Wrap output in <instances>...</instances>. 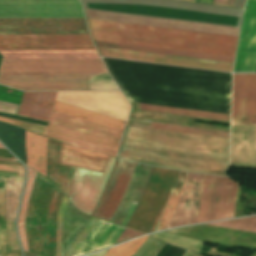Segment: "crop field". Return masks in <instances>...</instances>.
Returning a JSON list of instances; mask_svg holds the SVG:
<instances>
[{"mask_svg":"<svg viewBox=\"0 0 256 256\" xmlns=\"http://www.w3.org/2000/svg\"><path fill=\"white\" fill-rule=\"evenodd\" d=\"M188 174L187 172H179L155 231L167 228ZM202 178L203 175L201 174H189L168 228L196 223Z\"/></svg>","mask_w":256,"mask_h":256,"instance_id":"obj_8","label":"crop field"},{"mask_svg":"<svg viewBox=\"0 0 256 256\" xmlns=\"http://www.w3.org/2000/svg\"><path fill=\"white\" fill-rule=\"evenodd\" d=\"M118 80L230 94L231 74L102 58ZM115 80L129 102L230 114V95Z\"/></svg>","mask_w":256,"mask_h":256,"instance_id":"obj_1","label":"crop field"},{"mask_svg":"<svg viewBox=\"0 0 256 256\" xmlns=\"http://www.w3.org/2000/svg\"><path fill=\"white\" fill-rule=\"evenodd\" d=\"M94 42L96 46H101V47H109V48L125 49V50H133V51H141V52H149V53H157V54H165V55L229 62V63H233V60H234V58H230V57L172 51V50H164V49H156V48H147V47H139V46H131V45H123V44H114V43H106V42H98V41H94ZM97 49L100 55L107 56V57L123 58V59H131V60H139V61H147V62H155V63H163V64L227 71V72H231L232 65H233L228 63H220V62L204 61V60H196V59H188V58H180V57L100 48V47H97Z\"/></svg>","mask_w":256,"mask_h":256,"instance_id":"obj_6","label":"crop field"},{"mask_svg":"<svg viewBox=\"0 0 256 256\" xmlns=\"http://www.w3.org/2000/svg\"><path fill=\"white\" fill-rule=\"evenodd\" d=\"M131 230V229H130ZM130 230H127L125 229V231L122 233V235L118 238V240L114 243V245L116 244H119V243H122L124 241H127L129 239H132L134 237H137V236H140V235H143V234H140V233H137V232H133V231H130Z\"/></svg>","mask_w":256,"mask_h":256,"instance_id":"obj_41","label":"crop field"},{"mask_svg":"<svg viewBox=\"0 0 256 256\" xmlns=\"http://www.w3.org/2000/svg\"><path fill=\"white\" fill-rule=\"evenodd\" d=\"M53 111L88 120L94 123L124 130L125 121L90 112L84 109L54 102ZM51 113L46 137L92 151L117 156L122 131L87 122L81 119Z\"/></svg>","mask_w":256,"mask_h":256,"instance_id":"obj_4","label":"crop field"},{"mask_svg":"<svg viewBox=\"0 0 256 256\" xmlns=\"http://www.w3.org/2000/svg\"><path fill=\"white\" fill-rule=\"evenodd\" d=\"M229 139L130 127L122 158L177 170L226 175Z\"/></svg>","mask_w":256,"mask_h":256,"instance_id":"obj_2","label":"crop field"},{"mask_svg":"<svg viewBox=\"0 0 256 256\" xmlns=\"http://www.w3.org/2000/svg\"><path fill=\"white\" fill-rule=\"evenodd\" d=\"M178 172L153 168L144 193L127 227L145 233L155 230Z\"/></svg>","mask_w":256,"mask_h":256,"instance_id":"obj_7","label":"crop field"},{"mask_svg":"<svg viewBox=\"0 0 256 256\" xmlns=\"http://www.w3.org/2000/svg\"><path fill=\"white\" fill-rule=\"evenodd\" d=\"M0 170L19 172L18 176H24V170H23V167L21 166H11V165L0 164Z\"/></svg>","mask_w":256,"mask_h":256,"instance_id":"obj_42","label":"crop field"},{"mask_svg":"<svg viewBox=\"0 0 256 256\" xmlns=\"http://www.w3.org/2000/svg\"><path fill=\"white\" fill-rule=\"evenodd\" d=\"M232 124L256 125V75H233Z\"/></svg>","mask_w":256,"mask_h":256,"instance_id":"obj_16","label":"crop field"},{"mask_svg":"<svg viewBox=\"0 0 256 256\" xmlns=\"http://www.w3.org/2000/svg\"><path fill=\"white\" fill-rule=\"evenodd\" d=\"M106 251L107 250L99 252V253H96V254H93V255H90V256H103L106 253Z\"/></svg>","mask_w":256,"mask_h":256,"instance_id":"obj_46","label":"crop field"},{"mask_svg":"<svg viewBox=\"0 0 256 256\" xmlns=\"http://www.w3.org/2000/svg\"><path fill=\"white\" fill-rule=\"evenodd\" d=\"M27 169H28V180L26 183L23 201H22L21 210H20L19 219H18V231H19V235L21 237L23 249L29 251L28 246H27V240H26L24 219H25L28 200H29V197H30V194L32 191L36 171H34L28 167H27Z\"/></svg>","mask_w":256,"mask_h":256,"instance_id":"obj_31","label":"crop field"},{"mask_svg":"<svg viewBox=\"0 0 256 256\" xmlns=\"http://www.w3.org/2000/svg\"><path fill=\"white\" fill-rule=\"evenodd\" d=\"M55 93L36 92L28 117L48 121Z\"/></svg>","mask_w":256,"mask_h":256,"instance_id":"obj_28","label":"crop field"},{"mask_svg":"<svg viewBox=\"0 0 256 256\" xmlns=\"http://www.w3.org/2000/svg\"><path fill=\"white\" fill-rule=\"evenodd\" d=\"M109 222L100 220L96 225L94 230L86 238L80 248L76 251L73 256L84 255L85 252L90 248L94 241L99 237L103 230L108 226ZM124 227L110 223L109 226L104 230L100 237L95 241L91 248L86 252V254L110 247L120 236Z\"/></svg>","mask_w":256,"mask_h":256,"instance_id":"obj_24","label":"crop field"},{"mask_svg":"<svg viewBox=\"0 0 256 256\" xmlns=\"http://www.w3.org/2000/svg\"><path fill=\"white\" fill-rule=\"evenodd\" d=\"M151 236L188 247L198 253L201 252V249L204 243L202 241H198V240H194V239H190V238H186V237H182V236H178V235H174L166 232L154 234Z\"/></svg>","mask_w":256,"mask_h":256,"instance_id":"obj_32","label":"crop field"},{"mask_svg":"<svg viewBox=\"0 0 256 256\" xmlns=\"http://www.w3.org/2000/svg\"><path fill=\"white\" fill-rule=\"evenodd\" d=\"M207 225L256 232V216L237 219V220H231V221H225V222H219V223H213V224H207Z\"/></svg>","mask_w":256,"mask_h":256,"instance_id":"obj_33","label":"crop field"},{"mask_svg":"<svg viewBox=\"0 0 256 256\" xmlns=\"http://www.w3.org/2000/svg\"><path fill=\"white\" fill-rule=\"evenodd\" d=\"M24 178L9 177L5 193L6 220L13 221L23 186Z\"/></svg>","mask_w":256,"mask_h":256,"instance_id":"obj_27","label":"crop field"},{"mask_svg":"<svg viewBox=\"0 0 256 256\" xmlns=\"http://www.w3.org/2000/svg\"><path fill=\"white\" fill-rule=\"evenodd\" d=\"M25 256H36L35 254L24 252Z\"/></svg>","mask_w":256,"mask_h":256,"instance_id":"obj_48","label":"crop field"},{"mask_svg":"<svg viewBox=\"0 0 256 256\" xmlns=\"http://www.w3.org/2000/svg\"><path fill=\"white\" fill-rule=\"evenodd\" d=\"M0 73H107L101 60L3 61Z\"/></svg>","mask_w":256,"mask_h":256,"instance_id":"obj_13","label":"crop field"},{"mask_svg":"<svg viewBox=\"0 0 256 256\" xmlns=\"http://www.w3.org/2000/svg\"><path fill=\"white\" fill-rule=\"evenodd\" d=\"M0 157L14 158L7 150L0 149Z\"/></svg>","mask_w":256,"mask_h":256,"instance_id":"obj_44","label":"crop field"},{"mask_svg":"<svg viewBox=\"0 0 256 256\" xmlns=\"http://www.w3.org/2000/svg\"><path fill=\"white\" fill-rule=\"evenodd\" d=\"M0 148H3V149H5L1 144H0Z\"/></svg>","mask_w":256,"mask_h":256,"instance_id":"obj_49","label":"crop field"},{"mask_svg":"<svg viewBox=\"0 0 256 256\" xmlns=\"http://www.w3.org/2000/svg\"><path fill=\"white\" fill-rule=\"evenodd\" d=\"M61 143L49 139L47 154V179L67 197L74 167L58 165Z\"/></svg>","mask_w":256,"mask_h":256,"instance_id":"obj_23","label":"crop field"},{"mask_svg":"<svg viewBox=\"0 0 256 256\" xmlns=\"http://www.w3.org/2000/svg\"><path fill=\"white\" fill-rule=\"evenodd\" d=\"M135 164V162L118 159L94 217L110 221L126 189Z\"/></svg>","mask_w":256,"mask_h":256,"instance_id":"obj_17","label":"crop field"},{"mask_svg":"<svg viewBox=\"0 0 256 256\" xmlns=\"http://www.w3.org/2000/svg\"><path fill=\"white\" fill-rule=\"evenodd\" d=\"M62 196L63 194L57 188H55V191L52 197L49 218H48V225H47L48 256H54L55 254L57 213L60 208Z\"/></svg>","mask_w":256,"mask_h":256,"instance_id":"obj_29","label":"crop field"},{"mask_svg":"<svg viewBox=\"0 0 256 256\" xmlns=\"http://www.w3.org/2000/svg\"><path fill=\"white\" fill-rule=\"evenodd\" d=\"M187 1H192V0H187Z\"/></svg>","mask_w":256,"mask_h":256,"instance_id":"obj_50","label":"crop field"},{"mask_svg":"<svg viewBox=\"0 0 256 256\" xmlns=\"http://www.w3.org/2000/svg\"><path fill=\"white\" fill-rule=\"evenodd\" d=\"M137 110L208 118V119H217V120H225V121H229V117H230V115H226V114L209 113V112L167 108V107L142 105V104L138 105ZM127 125L229 138V133L220 132V131H212V130H204V129H196V128L132 121V120H129Z\"/></svg>","mask_w":256,"mask_h":256,"instance_id":"obj_19","label":"crop field"},{"mask_svg":"<svg viewBox=\"0 0 256 256\" xmlns=\"http://www.w3.org/2000/svg\"><path fill=\"white\" fill-rule=\"evenodd\" d=\"M0 84L21 91L119 90L108 74H0Z\"/></svg>","mask_w":256,"mask_h":256,"instance_id":"obj_5","label":"crop field"},{"mask_svg":"<svg viewBox=\"0 0 256 256\" xmlns=\"http://www.w3.org/2000/svg\"><path fill=\"white\" fill-rule=\"evenodd\" d=\"M3 60L100 59L96 50H0Z\"/></svg>","mask_w":256,"mask_h":256,"instance_id":"obj_21","label":"crop field"},{"mask_svg":"<svg viewBox=\"0 0 256 256\" xmlns=\"http://www.w3.org/2000/svg\"><path fill=\"white\" fill-rule=\"evenodd\" d=\"M18 106L17 104L0 101V112L16 115Z\"/></svg>","mask_w":256,"mask_h":256,"instance_id":"obj_40","label":"crop field"},{"mask_svg":"<svg viewBox=\"0 0 256 256\" xmlns=\"http://www.w3.org/2000/svg\"><path fill=\"white\" fill-rule=\"evenodd\" d=\"M98 221L99 219L91 217L87 227L84 229V231L81 233V235L77 238V240L73 243V245L70 247V249L67 251V253L64 256H72L75 253V251L82 244L85 238L89 235V233L98 223Z\"/></svg>","mask_w":256,"mask_h":256,"instance_id":"obj_36","label":"crop field"},{"mask_svg":"<svg viewBox=\"0 0 256 256\" xmlns=\"http://www.w3.org/2000/svg\"><path fill=\"white\" fill-rule=\"evenodd\" d=\"M110 156L62 143L59 164L102 172Z\"/></svg>","mask_w":256,"mask_h":256,"instance_id":"obj_22","label":"crop field"},{"mask_svg":"<svg viewBox=\"0 0 256 256\" xmlns=\"http://www.w3.org/2000/svg\"><path fill=\"white\" fill-rule=\"evenodd\" d=\"M234 0H213L212 4L232 6Z\"/></svg>","mask_w":256,"mask_h":256,"instance_id":"obj_43","label":"crop field"},{"mask_svg":"<svg viewBox=\"0 0 256 256\" xmlns=\"http://www.w3.org/2000/svg\"><path fill=\"white\" fill-rule=\"evenodd\" d=\"M93 40L234 57L238 37L87 19Z\"/></svg>","mask_w":256,"mask_h":256,"instance_id":"obj_3","label":"crop field"},{"mask_svg":"<svg viewBox=\"0 0 256 256\" xmlns=\"http://www.w3.org/2000/svg\"><path fill=\"white\" fill-rule=\"evenodd\" d=\"M0 161H13V162H18L15 159H8V158H0Z\"/></svg>","mask_w":256,"mask_h":256,"instance_id":"obj_47","label":"crop field"},{"mask_svg":"<svg viewBox=\"0 0 256 256\" xmlns=\"http://www.w3.org/2000/svg\"><path fill=\"white\" fill-rule=\"evenodd\" d=\"M48 139L26 131L27 165L45 175Z\"/></svg>","mask_w":256,"mask_h":256,"instance_id":"obj_25","label":"crop field"},{"mask_svg":"<svg viewBox=\"0 0 256 256\" xmlns=\"http://www.w3.org/2000/svg\"><path fill=\"white\" fill-rule=\"evenodd\" d=\"M55 186L37 173L25 220L30 252L47 256L46 224Z\"/></svg>","mask_w":256,"mask_h":256,"instance_id":"obj_9","label":"crop field"},{"mask_svg":"<svg viewBox=\"0 0 256 256\" xmlns=\"http://www.w3.org/2000/svg\"><path fill=\"white\" fill-rule=\"evenodd\" d=\"M153 167L139 164L137 163L135 166V169L133 171V174L131 176V179L129 181V184L127 186V189L124 193V196L115 211L111 222H114L116 224L121 225L130 205L132 202L138 203L139 198L145 188V185L148 181V178L150 176L151 170ZM137 204L132 203L122 225L126 226L128 220L130 219L135 207Z\"/></svg>","mask_w":256,"mask_h":256,"instance_id":"obj_20","label":"crop field"},{"mask_svg":"<svg viewBox=\"0 0 256 256\" xmlns=\"http://www.w3.org/2000/svg\"><path fill=\"white\" fill-rule=\"evenodd\" d=\"M0 121L7 122V123H10V124L22 127L24 129L36 132V133L41 134V135H45V131H46V128H47L45 126L31 124V123L22 122V121H17V120H13V119L4 118V117H0Z\"/></svg>","mask_w":256,"mask_h":256,"instance_id":"obj_38","label":"crop field"},{"mask_svg":"<svg viewBox=\"0 0 256 256\" xmlns=\"http://www.w3.org/2000/svg\"><path fill=\"white\" fill-rule=\"evenodd\" d=\"M8 176L0 175V256H21L20 251H10L5 228L4 192Z\"/></svg>","mask_w":256,"mask_h":256,"instance_id":"obj_30","label":"crop field"},{"mask_svg":"<svg viewBox=\"0 0 256 256\" xmlns=\"http://www.w3.org/2000/svg\"><path fill=\"white\" fill-rule=\"evenodd\" d=\"M0 49H95L88 35H0Z\"/></svg>","mask_w":256,"mask_h":256,"instance_id":"obj_14","label":"crop field"},{"mask_svg":"<svg viewBox=\"0 0 256 256\" xmlns=\"http://www.w3.org/2000/svg\"><path fill=\"white\" fill-rule=\"evenodd\" d=\"M0 34H88L84 19H0Z\"/></svg>","mask_w":256,"mask_h":256,"instance_id":"obj_12","label":"crop field"},{"mask_svg":"<svg viewBox=\"0 0 256 256\" xmlns=\"http://www.w3.org/2000/svg\"><path fill=\"white\" fill-rule=\"evenodd\" d=\"M185 256H200V255L189 250Z\"/></svg>","mask_w":256,"mask_h":256,"instance_id":"obj_45","label":"crop field"},{"mask_svg":"<svg viewBox=\"0 0 256 256\" xmlns=\"http://www.w3.org/2000/svg\"><path fill=\"white\" fill-rule=\"evenodd\" d=\"M115 161V157H110L103 173L75 167L68 199L76 208L92 215Z\"/></svg>","mask_w":256,"mask_h":256,"instance_id":"obj_11","label":"crop field"},{"mask_svg":"<svg viewBox=\"0 0 256 256\" xmlns=\"http://www.w3.org/2000/svg\"><path fill=\"white\" fill-rule=\"evenodd\" d=\"M34 93L35 92H24L18 115L28 116Z\"/></svg>","mask_w":256,"mask_h":256,"instance_id":"obj_39","label":"crop field"},{"mask_svg":"<svg viewBox=\"0 0 256 256\" xmlns=\"http://www.w3.org/2000/svg\"><path fill=\"white\" fill-rule=\"evenodd\" d=\"M147 237L111 248L104 256H132Z\"/></svg>","mask_w":256,"mask_h":256,"instance_id":"obj_34","label":"crop field"},{"mask_svg":"<svg viewBox=\"0 0 256 256\" xmlns=\"http://www.w3.org/2000/svg\"><path fill=\"white\" fill-rule=\"evenodd\" d=\"M208 4V3H207Z\"/></svg>","mask_w":256,"mask_h":256,"instance_id":"obj_51","label":"crop field"},{"mask_svg":"<svg viewBox=\"0 0 256 256\" xmlns=\"http://www.w3.org/2000/svg\"><path fill=\"white\" fill-rule=\"evenodd\" d=\"M24 137V130L0 122V139L26 164Z\"/></svg>","mask_w":256,"mask_h":256,"instance_id":"obj_26","label":"crop field"},{"mask_svg":"<svg viewBox=\"0 0 256 256\" xmlns=\"http://www.w3.org/2000/svg\"><path fill=\"white\" fill-rule=\"evenodd\" d=\"M215 244L256 249V233L200 225L166 231Z\"/></svg>","mask_w":256,"mask_h":256,"instance_id":"obj_15","label":"crop field"},{"mask_svg":"<svg viewBox=\"0 0 256 256\" xmlns=\"http://www.w3.org/2000/svg\"><path fill=\"white\" fill-rule=\"evenodd\" d=\"M237 185L230 178L204 175L197 223L233 217Z\"/></svg>","mask_w":256,"mask_h":256,"instance_id":"obj_10","label":"crop field"},{"mask_svg":"<svg viewBox=\"0 0 256 256\" xmlns=\"http://www.w3.org/2000/svg\"><path fill=\"white\" fill-rule=\"evenodd\" d=\"M163 243L164 241L149 236L133 256H153Z\"/></svg>","mask_w":256,"mask_h":256,"instance_id":"obj_35","label":"crop field"},{"mask_svg":"<svg viewBox=\"0 0 256 256\" xmlns=\"http://www.w3.org/2000/svg\"><path fill=\"white\" fill-rule=\"evenodd\" d=\"M256 65V0H247L234 70L254 71Z\"/></svg>","mask_w":256,"mask_h":256,"instance_id":"obj_18","label":"crop field"},{"mask_svg":"<svg viewBox=\"0 0 256 256\" xmlns=\"http://www.w3.org/2000/svg\"><path fill=\"white\" fill-rule=\"evenodd\" d=\"M68 202L69 201L64 196L60 211L58 213L57 237H56V254H55V256H60L61 237H62V223H63V217H64L65 209H66V206H67Z\"/></svg>","mask_w":256,"mask_h":256,"instance_id":"obj_37","label":"crop field"}]
</instances>
